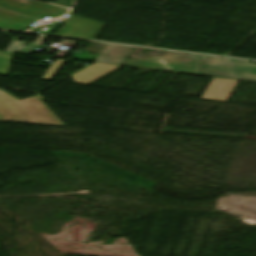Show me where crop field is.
Instances as JSON below:
<instances>
[{
  "instance_id": "crop-field-4",
  "label": "crop field",
  "mask_w": 256,
  "mask_h": 256,
  "mask_svg": "<svg viewBox=\"0 0 256 256\" xmlns=\"http://www.w3.org/2000/svg\"><path fill=\"white\" fill-rule=\"evenodd\" d=\"M0 9L39 20L46 16L59 17L69 11L58 6L26 0H0Z\"/></svg>"
},
{
  "instance_id": "crop-field-1",
  "label": "crop field",
  "mask_w": 256,
  "mask_h": 256,
  "mask_svg": "<svg viewBox=\"0 0 256 256\" xmlns=\"http://www.w3.org/2000/svg\"><path fill=\"white\" fill-rule=\"evenodd\" d=\"M132 48L107 45L95 62L201 75V56L165 51V56L126 60Z\"/></svg>"
},
{
  "instance_id": "crop-field-9",
  "label": "crop field",
  "mask_w": 256,
  "mask_h": 256,
  "mask_svg": "<svg viewBox=\"0 0 256 256\" xmlns=\"http://www.w3.org/2000/svg\"><path fill=\"white\" fill-rule=\"evenodd\" d=\"M44 37L38 36L33 44L12 40L7 51L31 55L36 48H39Z\"/></svg>"
},
{
  "instance_id": "crop-field-12",
  "label": "crop field",
  "mask_w": 256,
  "mask_h": 256,
  "mask_svg": "<svg viewBox=\"0 0 256 256\" xmlns=\"http://www.w3.org/2000/svg\"><path fill=\"white\" fill-rule=\"evenodd\" d=\"M68 52L58 51L55 57L65 58Z\"/></svg>"
},
{
  "instance_id": "crop-field-10",
  "label": "crop field",
  "mask_w": 256,
  "mask_h": 256,
  "mask_svg": "<svg viewBox=\"0 0 256 256\" xmlns=\"http://www.w3.org/2000/svg\"><path fill=\"white\" fill-rule=\"evenodd\" d=\"M64 63H65L64 60L54 59L52 65L50 66L48 71L45 73V75L42 77V79L52 81V79L55 77V75L57 74V72L60 70V68Z\"/></svg>"
},
{
  "instance_id": "crop-field-6",
  "label": "crop field",
  "mask_w": 256,
  "mask_h": 256,
  "mask_svg": "<svg viewBox=\"0 0 256 256\" xmlns=\"http://www.w3.org/2000/svg\"><path fill=\"white\" fill-rule=\"evenodd\" d=\"M239 81L213 78L201 99L227 102Z\"/></svg>"
},
{
  "instance_id": "crop-field-5",
  "label": "crop field",
  "mask_w": 256,
  "mask_h": 256,
  "mask_svg": "<svg viewBox=\"0 0 256 256\" xmlns=\"http://www.w3.org/2000/svg\"><path fill=\"white\" fill-rule=\"evenodd\" d=\"M103 28L104 25L71 15L55 35L95 40Z\"/></svg>"
},
{
  "instance_id": "crop-field-3",
  "label": "crop field",
  "mask_w": 256,
  "mask_h": 256,
  "mask_svg": "<svg viewBox=\"0 0 256 256\" xmlns=\"http://www.w3.org/2000/svg\"><path fill=\"white\" fill-rule=\"evenodd\" d=\"M203 75L256 82V66L249 61L203 56Z\"/></svg>"
},
{
  "instance_id": "crop-field-11",
  "label": "crop field",
  "mask_w": 256,
  "mask_h": 256,
  "mask_svg": "<svg viewBox=\"0 0 256 256\" xmlns=\"http://www.w3.org/2000/svg\"><path fill=\"white\" fill-rule=\"evenodd\" d=\"M14 53L0 51V74L7 75L10 68V60Z\"/></svg>"
},
{
  "instance_id": "crop-field-8",
  "label": "crop field",
  "mask_w": 256,
  "mask_h": 256,
  "mask_svg": "<svg viewBox=\"0 0 256 256\" xmlns=\"http://www.w3.org/2000/svg\"><path fill=\"white\" fill-rule=\"evenodd\" d=\"M33 19L21 17L12 13H8L0 10V28L21 31L31 22Z\"/></svg>"
},
{
  "instance_id": "crop-field-7",
  "label": "crop field",
  "mask_w": 256,
  "mask_h": 256,
  "mask_svg": "<svg viewBox=\"0 0 256 256\" xmlns=\"http://www.w3.org/2000/svg\"><path fill=\"white\" fill-rule=\"evenodd\" d=\"M117 67L119 66L94 63L71 77L76 84L89 85Z\"/></svg>"
},
{
  "instance_id": "crop-field-2",
  "label": "crop field",
  "mask_w": 256,
  "mask_h": 256,
  "mask_svg": "<svg viewBox=\"0 0 256 256\" xmlns=\"http://www.w3.org/2000/svg\"><path fill=\"white\" fill-rule=\"evenodd\" d=\"M52 113L37 96L19 101L0 91V121L65 126Z\"/></svg>"
}]
</instances>
